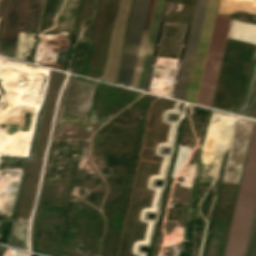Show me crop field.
Wrapping results in <instances>:
<instances>
[{"label": "crop field", "mask_w": 256, "mask_h": 256, "mask_svg": "<svg viewBox=\"0 0 256 256\" xmlns=\"http://www.w3.org/2000/svg\"><path fill=\"white\" fill-rule=\"evenodd\" d=\"M154 1L155 0H151L147 19H150L151 17ZM149 2L150 0H135L134 10L132 14V19H131L128 37H127L126 46H125L124 55H123V60H122L119 78L117 82V84L119 85H124L128 87H130L131 85ZM156 3H157V0L155 1L151 20H147L146 22L145 31L142 39L141 48H140V53H139L137 66L135 70V75L132 83V85H135V86H137L138 84ZM163 5H164V0H158L139 84H138V87L132 86L133 88H137L141 90L144 89L148 68L150 64V59H151L158 27L161 19Z\"/></svg>", "instance_id": "obj_1"}, {"label": "crop field", "mask_w": 256, "mask_h": 256, "mask_svg": "<svg viewBox=\"0 0 256 256\" xmlns=\"http://www.w3.org/2000/svg\"><path fill=\"white\" fill-rule=\"evenodd\" d=\"M256 201V121L238 192L224 256H243ZM244 256H256V205Z\"/></svg>", "instance_id": "obj_2"}, {"label": "crop field", "mask_w": 256, "mask_h": 256, "mask_svg": "<svg viewBox=\"0 0 256 256\" xmlns=\"http://www.w3.org/2000/svg\"><path fill=\"white\" fill-rule=\"evenodd\" d=\"M43 0H8L0 41L17 43L19 31H36ZM1 42L0 55L14 57L17 44Z\"/></svg>", "instance_id": "obj_3"}, {"label": "crop field", "mask_w": 256, "mask_h": 256, "mask_svg": "<svg viewBox=\"0 0 256 256\" xmlns=\"http://www.w3.org/2000/svg\"><path fill=\"white\" fill-rule=\"evenodd\" d=\"M231 20L216 18L197 97V104L211 105L225 40Z\"/></svg>", "instance_id": "obj_4"}, {"label": "crop field", "mask_w": 256, "mask_h": 256, "mask_svg": "<svg viewBox=\"0 0 256 256\" xmlns=\"http://www.w3.org/2000/svg\"><path fill=\"white\" fill-rule=\"evenodd\" d=\"M219 0H208L185 101L195 103Z\"/></svg>", "instance_id": "obj_5"}, {"label": "crop field", "mask_w": 256, "mask_h": 256, "mask_svg": "<svg viewBox=\"0 0 256 256\" xmlns=\"http://www.w3.org/2000/svg\"><path fill=\"white\" fill-rule=\"evenodd\" d=\"M206 4H207V0H197L196 2L193 20H192L189 37H188V41L185 49V54H184V58L181 66V71L178 79V84H177V88L174 96L175 99H179L183 101L185 99Z\"/></svg>", "instance_id": "obj_6"}, {"label": "crop field", "mask_w": 256, "mask_h": 256, "mask_svg": "<svg viewBox=\"0 0 256 256\" xmlns=\"http://www.w3.org/2000/svg\"><path fill=\"white\" fill-rule=\"evenodd\" d=\"M6 248L0 247V256L3 254Z\"/></svg>", "instance_id": "obj_7"}, {"label": "crop field", "mask_w": 256, "mask_h": 256, "mask_svg": "<svg viewBox=\"0 0 256 256\" xmlns=\"http://www.w3.org/2000/svg\"><path fill=\"white\" fill-rule=\"evenodd\" d=\"M253 117H255V118H256V107H255V111H254V115H253Z\"/></svg>", "instance_id": "obj_8"}]
</instances>
